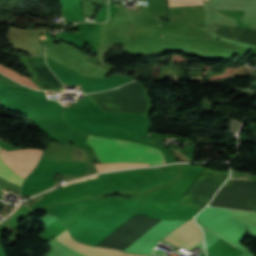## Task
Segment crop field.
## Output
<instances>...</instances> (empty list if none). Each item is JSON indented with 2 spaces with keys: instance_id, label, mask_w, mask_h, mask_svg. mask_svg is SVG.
I'll list each match as a JSON object with an SVG mask.
<instances>
[{
  "instance_id": "1",
  "label": "crop field",
  "mask_w": 256,
  "mask_h": 256,
  "mask_svg": "<svg viewBox=\"0 0 256 256\" xmlns=\"http://www.w3.org/2000/svg\"><path fill=\"white\" fill-rule=\"evenodd\" d=\"M100 162H138L158 165L165 163L162 152L154 147L125 140L88 136Z\"/></svg>"
},
{
  "instance_id": "6",
  "label": "crop field",
  "mask_w": 256,
  "mask_h": 256,
  "mask_svg": "<svg viewBox=\"0 0 256 256\" xmlns=\"http://www.w3.org/2000/svg\"><path fill=\"white\" fill-rule=\"evenodd\" d=\"M56 239L77 250L78 252L87 255V256H145V255H134L129 253H123L117 250H111V249H103V248H95L90 247L87 245L80 244L78 242H75L69 235L68 231L65 230L63 233H61L59 236L56 237Z\"/></svg>"
},
{
  "instance_id": "3",
  "label": "crop field",
  "mask_w": 256,
  "mask_h": 256,
  "mask_svg": "<svg viewBox=\"0 0 256 256\" xmlns=\"http://www.w3.org/2000/svg\"><path fill=\"white\" fill-rule=\"evenodd\" d=\"M42 151L35 149H24L8 152L0 151L1 159L19 176L26 177L38 162Z\"/></svg>"
},
{
  "instance_id": "5",
  "label": "crop field",
  "mask_w": 256,
  "mask_h": 256,
  "mask_svg": "<svg viewBox=\"0 0 256 256\" xmlns=\"http://www.w3.org/2000/svg\"><path fill=\"white\" fill-rule=\"evenodd\" d=\"M33 74L44 89L63 90L61 83L46 66L43 57H25Z\"/></svg>"
},
{
  "instance_id": "7",
  "label": "crop field",
  "mask_w": 256,
  "mask_h": 256,
  "mask_svg": "<svg viewBox=\"0 0 256 256\" xmlns=\"http://www.w3.org/2000/svg\"><path fill=\"white\" fill-rule=\"evenodd\" d=\"M148 164H138V163H114V164H95L98 172L112 170L117 168H128L137 166H146Z\"/></svg>"
},
{
  "instance_id": "4",
  "label": "crop field",
  "mask_w": 256,
  "mask_h": 256,
  "mask_svg": "<svg viewBox=\"0 0 256 256\" xmlns=\"http://www.w3.org/2000/svg\"><path fill=\"white\" fill-rule=\"evenodd\" d=\"M163 239L167 240L168 242L172 243L177 247L183 246L188 250L200 241H202L201 230L193 222V219L185 222Z\"/></svg>"
},
{
  "instance_id": "2",
  "label": "crop field",
  "mask_w": 256,
  "mask_h": 256,
  "mask_svg": "<svg viewBox=\"0 0 256 256\" xmlns=\"http://www.w3.org/2000/svg\"><path fill=\"white\" fill-rule=\"evenodd\" d=\"M102 111L145 114L148 106L140 84L133 82L120 88L87 95Z\"/></svg>"
},
{
  "instance_id": "9",
  "label": "crop field",
  "mask_w": 256,
  "mask_h": 256,
  "mask_svg": "<svg viewBox=\"0 0 256 256\" xmlns=\"http://www.w3.org/2000/svg\"><path fill=\"white\" fill-rule=\"evenodd\" d=\"M209 1V0H204ZM203 4V0H168V6Z\"/></svg>"
},
{
  "instance_id": "8",
  "label": "crop field",
  "mask_w": 256,
  "mask_h": 256,
  "mask_svg": "<svg viewBox=\"0 0 256 256\" xmlns=\"http://www.w3.org/2000/svg\"><path fill=\"white\" fill-rule=\"evenodd\" d=\"M0 176L6 180L21 185L23 179L15 175L0 159Z\"/></svg>"
}]
</instances>
